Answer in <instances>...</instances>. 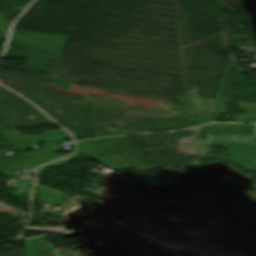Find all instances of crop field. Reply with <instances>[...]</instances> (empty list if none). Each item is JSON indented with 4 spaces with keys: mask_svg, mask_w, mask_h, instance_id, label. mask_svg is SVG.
Listing matches in <instances>:
<instances>
[{
    "mask_svg": "<svg viewBox=\"0 0 256 256\" xmlns=\"http://www.w3.org/2000/svg\"><path fill=\"white\" fill-rule=\"evenodd\" d=\"M210 145L230 146L231 162L245 169L256 170V137H216L208 138Z\"/></svg>",
    "mask_w": 256,
    "mask_h": 256,
    "instance_id": "1",
    "label": "crop field"
},
{
    "mask_svg": "<svg viewBox=\"0 0 256 256\" xmlns=\"http://www.w3.org/2000/svg\"><path fill=\"white\" fill-rule=\"evenodd\" d=\"M90 110L92 111L91 116L94 123L95 137L118 134L111 130L108 124L118 115L119 108L111 105L90 103Z\"/></svg>",
    "mask_w": 256,
    "mask_h": 256,
    "instance_id": "2",
    "label": "crop field"
},
{
    "mask_svg": "<svg viewBox=\"0 0 256 256\" xmlns=\"http://www.w3.org/2000/svg\"><path fill=\"white\" fill-rule=\"evenodd\" d=\"M112 156L137 172H146L156 169L155 167L133 157L127 152L115 154Z\"/></svg>",
    "mask_w": 256,
    "mask_h": 256,
    "instance_id": "3",
    "label": "crop field"
},
{
    "mask_svg": "<svg viewBox=\"0 0 256 256\" xmlns=\"http://www.w3.org/2000/svg\"><path fill=\"white\" fill-rule=\"evenodd\" d=\"M108 153L126 151L122 137H108L90 140Z\"/></svg>",
    "mask_w": 256,
    "mask_h": 256,
    "instance_id": "4",
    "label": "crop field"
},
{
    "mask_svg": "<svg viewBox=\"0 0 256 256\" xmlns=\"http://www.w3.org/2000/svg\"><path fill=\"white\" fill-rule=\"evenodd\" d=\"M91 159H93L105 166L113 168V169H127L128 168L125 165H123L122 163L118 162L115 158H113L110 155L92 157Z\"/></svg>",
    "mask_w": 256,
    "mask_h": 256,
    "instance_id": "5",
    "label": "crop field"
},
{
    "mask_svg": "<svg viewBox=\"0 0 256 256\" xmlns=\"http://www.w3.org/2000/svg\"><path fill=\"white\" fill-rule=\"evenodd\" d=\"M249 117L235 116L236 122L256 123V105H241Z\"/></svg>",
    "mask_w": 256,
    "mask_h": 256,
    "instance_id": "6",
    "label": "crop field"
},
{
    "mask_svg": "<svg viewBox=\"0 0 256 256\" xmlns=\"http://www.w3.org/2000/svg\"><path fill=\"white\" fill-rule=\"evenodd\" d=\"M24 244H25L26 256H30V254H32L30 239L29 240H25Z\"/></svg>",
    "mask_w": 256,
    "mask_h": 256,
    "instance_id": "7",
    "label": "crop field"
},
{
    "mask_svg": "<svg viewBox=\"0 0 256 256\" xmlns=\"http://www.w3.org/2000/svg\"><path fill=\"white\" fill-rule=\"evenodd\" d=\"M127 137V136H126ZM126 137L124 136V139H125V142H126V144H127V146H128V148H129V151L131 152V153H133V154H135V155H137V156H139V157H141V158H143V159H145V160H147L146 158H144V157H142V156H140V155H138V154H136V153H134L132 150H131V147H130V145H129V143H128V141H127V139H126ZM148 162H150V163H152L151 161H149V160H147ZM152 164H154V163H152ZM154 165H156V164H154ZM157 166V165H156ZM157 167H159V166H157ZM160 168V167H159Z\"/></svg>",
    "mask_w": 256,
    "mask_h": 256,
    "instance_id": "8",
    "label": "crop field"
},
{
    "mask_svg": "<svg viewBox=\"0 0 256 256\" xmlns=\"http://www.w3.org/2000/svg\"><path fill=\"white\" fill-rule=\"evenodd\" d=\"M67 162H69V161L64 160V159H61V160H59V161H57V162H54V163H52V164H50V165H53V166L59 167V166H61V165L65 164V163H67Z\"/></svg>",
    "mask_w": 256,
    "mask_h": 256,
    "instance_id": "9",
    "label": "crop field"
},
{
    "mask_svg": "<svg viewBox=\"0 0 256 256\" xmlns=\"http://www.w3.org/2000/svg\"><path fill=\"white\" fill-rule=\"evenodd\" d=\"M65 159H68V160L72 161V160H74L75 158L67 157V158H65Z\"/></svg>",
    "mask_w": 256,
    "mask_h": 256,
    "instance_id": "10",
    "label": "crop field"
}]
</instances>
